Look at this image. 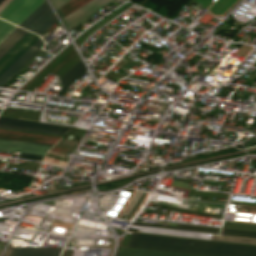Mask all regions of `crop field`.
Here are the masks:
<instances>
[{
    "mask_svg": "<svg viewBox=\"0 0 256 256\" xmlns=\"http://www.w3.org/2000/svg\"><path fill=\"white\" fill-rule=\"evenodd\" d=\"M81 59L61 78L63 82V87L57 93V95L62 96L66 89L78 79L86 70Z\"/></svg>",
    "mask_w": 256,
    "mask_h": 256,
    "instance_id": "crop-field-9",
    "label": "crop field"
},
{
    "mask_svg": "<svg viewBox=\"0 0 256 256\" xmlns=\"http://www.w3.org/2000/svg\"><path fill=\"white\" fill-rule=\"evenodd\" d=\"M51 1L57 9L60 6H62L63 4H65L66 2H68L69 0H51Z\"/></svg>",
    "mask_w": 256,
    "mask_h": 256,
    "instance_id": "crop-field-20",
    "label": "crop field"
},
{
    "mask_svg": "<svg viewBox=\"0 0 256 256\" xmlns=\"http://www.w3.org/2000/svg\"><path fill=\"white\" fill-rule=\"evenodd\" d=\"M117 256H196V255H187V254L120 247Z\"/></svg>",
    "mask_w": 256,
    "mask_h": 256,
    "instance_id": "crop-field-10",
    "label": "crop field"
},
{
    "mask_svg": "<svg viewBox=\"0 0 256 256\" xmlns=\"http://www.w3.org/2000/svg\"><path fill=\"white\" fill-rule=\"evenodd\" d=\"M133 224H137V225H146V226H156V227H165V228H174V229H183V230L202 231V232H211V233L230 234V235H239V236H248V237H256V236H250V235L231 234V233H223V232H215V231H206V230H198V229H190V228H182V227L161 226V225H149V224H141V223H136V222H134Z\"/></svg>",
    "mask_w": 256,
    "mask_h": 256,
    "instance_id": "crop-field-17",
    "label": "crop field"
},
{
    "mask_svg": "<svg viewBox=\"0 0 256 256\" xmlns=\"http://www.w3.org/2000/svg\"><path fill=\"white\" fill-rule=\"evenodd\" d=\"M0 139H3V140H11V139H4V138H0ZM11 141H19V140H11ZM19 142H26V141H19ZM26 143H34V142H26ZM34 144H41V145L53 146V145H50V144H42V143H34Z\"/></svg>",
    "mask_w": 256,
    "mask_h": 256,
    "instance_id": "crop-field-21",
    "label": "crop field"
},
{
    "mask_svg": "<svg viewBox=\"0 0 256 256\" xmlns=\"http://www.w3.org/2000/svg\"><path fill=\"white\" fill-rule=\"evenodd\" d=\"M112 1L113 0H91L62 20L67 29L71 30Z\"/></svg>",
    "mask_w": 256,
    "mask_h": 256,
    "instance_id": "crop-field-4",
    "label": "crop field"
},
{
    "mask_svg": "<svg viewBox=\"0 0 256 256\" xmlns=\"http://www.w3.org/2000/svg\"><path fill=\"white\" fill-rule=\"evenodd\" d=\"M0 127L4 128H12V129H20V130H28V131H36V132H44V133H52V134H60L64 135L63 131H55V130H47V129H39V128H31V127H23V126H15V125H7L0 124Z\"/></svg>",
    "mask_w": 256,
    "mask_h": 256,
    "instance_id": "crop-field-14",
    "label": "crop field"
},
{
    "mask_svg": "<svg viewBox=\"0 0 256 256\" xmlns=\"http://www.w3.org/2000/svg\"><path fill=\"white\" fill-rule=\"evenodd\" d=\"M39 37L33 33L28 32L16 45H14L1 59H0V74L16 60L30 45H32Z\"/></svg>",
    "mask_w": 256,
    "mask_h": 256,
    "instance_id": "crop-field-5",
    "label": "crop field"
},
{
    "mask_svg": "<svg viewBox=\"0 0 256 256\" xmlns=\"http://www.w3.org/2000/svg\"><path fill=\"white\" fill-rule=\"evenodd\" d=\"M5 0H0V4L3 3Z\"/></svg>",
    "mask_w": 256,
    "mask_h": 256,
    "instance_id": "crop-field-24",
    "label": "crop field"
},
{
    "mask_svg": "<svg viewBox=\"0 0 256 256\" xmlns=\"http://www.w3.org/2000/svg\"><path fill=\"white\" fill-rule=\"evenodd\" d=\"M11 0H6L2 5H0V10L6 6Z\"/></svg>",
    "mask_w": 256,
    "mask_h": 256,
    "instance_id": "crop-field-22",
    "label": "crop field"
},
{
    "mask_svg": "<svg viewBox=\"0 0 256 256\" xmlns=\"http://www.w3.org/2000/svg\"><path fill=\"white\" fill-rule=\"evenodd\" d=\"M49 149H50L49 146H41V145L0 140V150L45 155V153Z\"/></svg>",
    "mask_w": 256,
    "mask_h": 256,
    "instance_id": "crop-field-7",
    "label": "crop field"
},
{
    "mask_svg": "<svg viewBox=\"0 0 256 256\" xmlns=\"http://www.w3.org/2000/svg\"><path fill=\"white\" fill-rule=\"evenodd\" d=\"M0 123L63 130V131H67L70 128L69 126L55 125V124L42 123V122L14 120V119L2 118V117H0Z\"/></svg>",
    "mask_w": 256,
    "mask_h": 256,
    "instance_id": "crop-field-11",
    "label": "crop field"
},
{
    "mask_svg": "<svg viewBox=\"0 0 256 256\" xmlns=\"http://www.w3.org/2000/svg\"><path fill=\"white\" fill-rule=\"evenodd\" d=\"M129 247L205 256H256L255 245L139 232H133Z\"/></svg>",
    "mask_w": 256,
    "mask_h": 256,
    "instance_id": "crop-field-1",
    "label": "crop field"
},
{
    "mask_svg": "<svg viewBox=\"0 0 256 256\" xmlns=\"http://www.w3.org/2000/svg\"><path fill=\"white\" fill-rule=\"evenodd\" d=\"M80 137V136H79Z\"/></svg>",
    "mask_w": 256,
    "mask_h": 256,
    "instance_id": "crop-field-25",
    "label": "crop field"
},
{
    "mask_svg": "<svg viewBox=\"0 0 256 256\" xmlns=\"http://www.w3.org/2000/svg\"><path fill=\"white\" fill-rule=\"evenodd\" d=\"M44 42L39 39L31 46L16 62H14L1 76L0 86H2L10 77H12L30 58H32L40 49Z\"/></svg>",
    "mask_w": 256,
    "mask_h": 256,
    "instance_id": "crop-field-6",
    "label": "crop field"
},
{
    "mask_svg": "<svg viewBox=\"0 0 256 256\" xmlns=\"http://www.w3.org/2000/svg\"><path fill=\"white\" fill-rule=\"evenodd\" d=\"M27 31L17 27L1 44H0V58L16 44Z\"/></svg>",
    "mask_w": 256,
    "mask_h": 256,
    "instance_id": "crop-field-12",
    "label": "crop field"
},
{
    "mask_svg": "<svg viewBox=\"0 0 256 256\" xmlns=\"http://www.w3.org/2000/svg\"><path fill=\"white\" fill-rule=\"evenodd\" d=\"M15 28L16 26L0 20V42L4 40Z\"/></svg>",
    "mask_w": 256,
    "mask_h": 256,
    "instance_id": "crop-field-16",
    "label": "crop field"
},
{
    "mask_svg": "<svg viewBox=\"0 0 256 256\" xmlns=\"http://www.w3.org/2000/svg\"><path fill=\"white\" fill-rule=\"evenodd\" d=\"M222 227L256 231V224L225 221Z\"/></svg>",
    "mask_w": 256,
    "mask_h": 256,
    "instance_id": "crop-field-15",
    "label": "crop field"
},
{
    "mask_svg": "<svg viewBox=\"0 0 256 256\" xmlns=\"http://www.w3.org/2000/svg\"><path fill=\"white\" fill-rule=\"evenodd\" d=\"M3 247H4V244L0 243V253H1L2 249H3Z\"/></svg>",
    "mask_w": 256,
    "mask_h": 256,
    "instance_id": "crop-field-23",
    "label": "crop field"
},
{
    "mask_svg": "<svg viewBox=\"0 0 256 256\" xmlns=\"http://www.w3.org/2000/svg\"><path fill=\"white\" fill-rule=\"evenodd\" d=\"M19 158L41 161L43 156L20 153Z\"/></svg>",
    "mask_w": 256,
    "mask_h": 256,
    "instance_id": "crop-field-19",
    "label": "crop field"
},
{
    "mask_svg": "<svg viewBox=\"0 0 256 256\" xmlns=\"http://www.w3.org/2000/svg\"><path fill=\"white\" fill-rule=\"evenodd\" d=\"M56 20V17L45 1L20 26L40 35Z\"/></svg>",
    "mask_w": 256,
    "mask_h": 256,
    "instance_id": "crop-field-3",
    "label": "crop field"
},
{
    "mask_svg": "<svg viewBox=\"0 0 256 256\" xmlns=\"http://www.w3.org/2000/svg\"><path fill=\"white\" fill-rule=\"evenodd\" d=\"M178 226L190 227V228H199V229H208V230H216V231H220V229H221V228H217V227L200 226V225H192V224H184V223H179ZM222 231L232 232V233H240V234L256 235V232L234 230V229H226V228H223Z\"/></svg>",
    "mask_w": 256,
    "mask_h": 256,
    "instance_id": "crop-field-13",
    "label": "crop field"
},
{
    "mask_svg": "<svg viewBox=\"0 0 256 256\" xmlns=\"http://www.w3.org/2000/svg\"><path fill=\"white\" fill-rule=\"evenodd\" d=\"M45 0H12L0 11V17L19 25Z\"/></svg>",
    "mask_w": 256,
    "mask_h": 256,
    "instance_id": "crop-field-2",
    "label": "crop field"
},
{
    "mask_svg": "<svg viewBox=\"0 0 256 256\" xmlns=\"http://www.w3.org/2000/svg\"><path fill=\"white\" fill-rule=\"evenodd\" d=\"M79 142L77 141H72V140H67V139H61L57 145H61V146H65V147H69V148H73L75 149L77 147Z\"/></svg>",
    "mask_w": 256,
    "mask_h": 256,
    "instance_id": "crop-field-18",
    "label": "crop field"
},
{
    "mask_svg": "<svg viewBox=\"0 0 256 256\" xmlns=\"http://www.w3.org/2000/svg\"><path fill=\"white\" fill-rule=\"evenodd\" d=\"M60 248H7L3 256H58Z\"/></svg>",
    "mask_w": 256,
    "mask_h": 256,
    "instance_id": "crop-field-8",
    "label": "crop field"
}]
</instances>
